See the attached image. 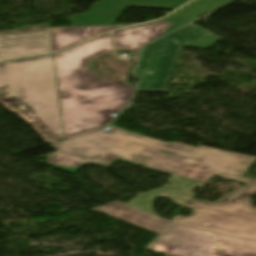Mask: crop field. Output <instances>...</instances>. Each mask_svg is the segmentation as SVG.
Listing matches in <instances>:
<instances>
[{"instance_id": "crop-field-1", "label": "crop field", "mask_w": 256, "mask_h": 256, "mask_svg": "<svg viewBox=\"0 0 256 256\" xmlns=\"http://www.w3.org/2000/svg\"><path fill=\"white\" fill-rule=\"evenodd\" d=\"M254 159L199 146L169 179L172 185L139 194L127 205L115 202L94 210L159 234L170 221L154 214L151 206L156 196H163L193 210L189 217L176 215L171 222L256 241V209L249 198L256 192V180L240 177ZM213 174L242 181L247 186L213 204L190 199L194 195L192 188L201 186Z\"/></svg>"}, {"instance_id": "crop-field-2", "label": "crop field", "mask_w": 256, "mask_h": 256, "mask_svg": "<svg viewBox=\"0 0 256 256\" xmlns=\"http://www.w3.org/2000/svg\"><path fill=\"white\" fill-rule=\"evenodd\" d=\"M110 33L72 50L54 55L65 138L106 126L129 101V84L100 81L88 73L87 63L100 53L112 51Z\"/></svg>"}, {"instance_id": "crop-field-3", "label": "crop field", "mask_w": 256, "mask_h": 256, "mask_svg": "<svg viewBox=\"0 0 256 256\" xmlns=\"http://www.w3.org/2000/svg\"><path fill=\"white\" fill-rule=\"evenodd\" d=\"M51 146L57 152L48 154V164L71 174L86 164L107 168L121 160L173 175L196 149L114 127L106 131L96 129Z\"/></svg>"}, {"instance_id": "crop-field-4", "label": "crop field", "mask_w": 256, "mask_h": 256, "mask_svg": "<svg viewBox=\"0 0 256 256\" xmlns=\"http://www.w3.org/2000/svg\"><path fill=\"white\" fill-rule=\"evenodd\" d=\"M0 103L18 113L48 143L63 138L52 55L0 62Z\"/></svg>"}, {"instance_id": "crop-field-5", "label": "crop field", "mask_w": 256, "mask_h": 256, "mask_svg": "<svg viewBox=\"0 0 256 256\" xmlns=\"http://www.w3.org/2000/svg\"><path fill=\"white\" fill-rule=\"evenodd\" d=\"M220 39L191 23L144 47L138 70L134 73V78L140 80L138 91L164 90L181 46L207 49ZM146 70H152L153 73H147Z\"/></svg>"}, {"instance_id": "crop-field-6", "label": "crop field", "mask_w": 256, "mask_h": 256, "mask_svg": "<svg viewBox=\"0 0 256 256\" xmlns=\"http://www.w3.org/2000/svg\"><path fill=\"white\" fill-rule=\"evenodd\" d=\"M146 248L174 256H256V242L174 223H168Z\"/></svg>"}, {"instance_id": "crop-field-7", "label": "crop field", "mask_w": 256, "mask_h": 256, "mask_svg": "<svg viewBox=\"0 0 256 256\" xmlns=\"http://www.w3.org/2000/svg\"><path fill=\"white\" fill-rule=\"evenodd\" d=\"M188 0H102L89 13L71 15L73 26L114 25L127 6L174 10Z\"/></svg>"}, {"instance_id": "crop-field-8", "label": "crop field", "mask_w": 256, "mask_h": 256, "mask_svg": "<svg viewBox=\"0 0 256 256\" xmlns=\"http://www.w3.org/2000/svg\"><path fill=\"white\" fill-rule=\"evenodd\" d=\"M52 52L49 26L0 31V59Z\"/></svg>"}, {"instance_id": "crop-field-9", "label": "crop field", "mask_w": 256, "mask_h": 256, "mask_svg": "<svg viewBox=\"0 0 256 256\" xmlns=\"http://www.w3.org/2000/svg\"><path fill=\"white\" fill-rule=\"evenodd\" d=\"M172 24L167 21L114 32L116 49L138 51L141 46L164 34Z\"/></svg>"}, {"instance_id": "crop-field-10", "label": "crop field", "mask_w": 256, "mask_h": 256, "mask_svg": "<svg viewBox=\"0 0 256 256\" xmlns=\"http://www.w3.org/2000/svg\"><path fill=\"white\" fill-rule=\"evenodd\" d=\"M123 27L118 26H93V27H61L50 28L53 52L72 46L76 43L91 38L103 31Z\"/></svg>"}, {"instance_id": "crop-field-11", "label": "crop field", "mask_w": 256, "mask_h": 256, "mask_svg": "<svg viewBox=\"0 0 256 256\" xmlns=\"http://www.w3.org/2000/svg\"><path fill=\"white\" fill-rule=\"evenodd\" d=\"M232 1L234 0H206L199 5L192 7L189 12L183 14L177 21L172 22L173 25L169 28V30L167 29L168 31L165 34L197 19L203 13L213 11Z\"/></svg>"}, {"instance_id": "crop-field-12", "label": "crop field", "mask_w": 256, "mask_h": 256, "mask_svg": "<svg viewBox=\"0 0 256 256\" xmlns=\"http://www.w3.org/2000/svg\"><path fill=\"white\" fill-rule=\"evenodd\" d=\"M200 0H194L191 3H189L188 5L184 6L183 8H181L180 10L176 11L175 13H173L172 15L168 16L165 19H175L177 18L182 12L188 10L189 6L199 2Z\"/></svg>"}]
</instances>
